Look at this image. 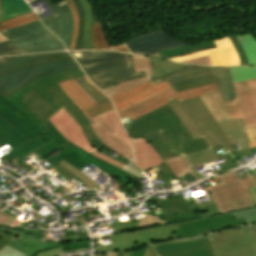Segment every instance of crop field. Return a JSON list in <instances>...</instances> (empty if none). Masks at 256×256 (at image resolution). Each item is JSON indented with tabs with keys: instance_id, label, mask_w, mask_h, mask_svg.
Returning <instances> with one entry per match:
<instances>
[{
	"instance_id": "crop-field-37",
	"label": "crop field",
	"mask_w": 256,
	"mask_h": 256,
	"mask_svg": "<svg viewBox=\"0 0 256 256\" xmlns=\"http://www.w3.org/2000/svg\"><path fill=\"white\" fill-rule=\"evenodd\" d=\"M94 50L109 49V45L102 31L101 23L96 22L91 26Z\"/></svg>"
},
{
	"instance_id": "crop-field-19",
	"label": "crop field",
	"mask_w": 256,
	"mask_h": 256,
	"mask_svg": "<svg viewBox=\"0 0 256 256\" xmlns=\"http://www.w3.org/2000/svg\"><path fill=\"white\" fill-rule=\"evenodd\" d=\"M216 49H209L193 54H187L171 60L180 62L209 55L211 66L240 65L238 55L228 38L214 41Z\"/></svg>"
},
{
	"instance_id": "crop-field-48",
	"label": "crop field",
	"mask_w": 256,
	"mask_h": 256,
	"mask_svg": "<svg viewBox=\"0 0 256 256\" xmlns=\"http://www.w3.org/2000/svg\"><path fill=\"white\" fill-rule=\"evenodd\" d=\"M236 219L247 218L248 222L256 220V208L233 213Z\"/></svg>"
},
{
	"instance_id": "crop-field-59",
	"label": "crop field",
	"mask_w": 256,
	"mask_h": 256,
	"mask_svg": "<svg viewBox=\"0 0 256 256\" xmlns=\"http://www.w3.org/2000/svg\"><path fill=\"white\" fill-rule=\"evenodd\" d=\"M46 161H48L50 164H52L54 166L58 162L62 161V159L59 158L57 155H54L53 157L47 159Z\"/></svg>"
},
{
	"instance_id": "crop-field-25",
	"label": "crop field",
	"mask_w": 256,
	"mask_h": 256,
	"mask_svg": "<svg viewBox=\"0 0 256 256\" xmlns=\"http://www.w3.org/2000/svg\"><path fill=\"white\" fill-rule=\"evenodd\" d=\"M68 97L82 110L88 117L84 110L93 107L96 104L75 82L74 79L58 83ZM90 120L91 124L92 121Z\"/></svg>"
},
{
	"instance_id": "crop-field-38",
	"label": "crop field",
	"mask_w": 256,
	"mask_h": 256,
	"mask_svg": "<svg viewBox=\"0 0 256 256\" xmlns=\"http://www.w3.org/2000/svg\"><path fill=\"white\" fill-rule=\"evenodd\" d=\"M232 80L241 81L256 78V67H229Z\"/></svg>"
},
{
	"instance_id": "crop-field-4",
	"label": "crop field",
	"mask_w": 256,
	"mask_h": 256,
	"mask_svg": "<svg viewBox=\"0 0 256 256\" xmlns=\"http://www.w3.org/2000/svg\"><path fill=\"white\" fill-rule=\"evenodd\" d=\"M99 52V55H96ZM81 65L85 74L100 88L145 76L135 74L131 55L114 51L69 52Z\"/></svg>"
},
{
	"instance_id": "crop-field-8",
	"label": "crop field",
	"mask_w": 256,
	"mask_h": 256,
	"mask_svg": "<svg viewBox=\"0 0 256 256\" xmlns=\"http://www.w3.org/2000/svg\"><path fill=\"white\" fill-rule=\"evenodd\" d=\"M217 177L221 183L206 189L211 193L221 213L255 206L249 189L256 184L254 175L247 174L248 178L240 180L235 171H232Z\"/></svg>"
},
{
	"instance_id": "crop-field-54",
	"label": "crop field",
	"mask_w": 256,
	"mask_h": 256,
	"mask_svg": "<svg viewBox=\"0 0 256 256\" xmlns=\"http://www.w3.org/2000/svg\"><path fill=\"white\" fill-rule=\"evenodd\" d=\"M130 256H152V254L150 253L147 247H143V248L131 251Z\"/></svg>"
},
{
	"instance_id": "crop-field-11",
	"label": "crop field",
	"mask_w": 256,
	"mask_h": 256,
	"mask_svg": "<svg viewBox=\"0 0 256 256\" xmlns=\"http://www.w3.org/2000/svg\"><path fill=\"white\" fill-rule=\"evenodd\" d=\"M177 229H179L178 224H175L157 229L116 234L108 238L113 245L103 247L101 244H98L96 250L116 251L141 247L159 240L179 239L175 232Z\"/></svg>"
},
{
	"instance_id": "crop-field-16",
	"label": "crop field",
	"mask_w": 256,
	"mask_h": 256,
	"mask_svg": "<svg viewBox=\"0 0 256 256\" xmlns=\"http://www.w3.org/2000/svg\"><path fill=\"white\" fill-rule=\"evenodd\" d=\"M126 47L139 55L159 56L157 51L183 45L170 38L163 30L151 32L125 42Z\"/></svg>"
},
{
	"instance_id": "crop-field-52",
	"label": "crop field",
	"mask_w": 256,
	"mask_h": 256,
	"mask_svg": "<svg viewBox=\"0 0 256 256\" xmlns=\"http://www.w3.org/2000/svg\"><path fill=\"white\" fill-rule=\"evenodd\" d=\"M113 232H118V231H127V230H133V229H139L138 225L136 222L133 223H128V224H123L119 226H114L112 227Z\"/></svg>"
},
{
	"instance_id": "crop-field-40",
	"label": "crop field",
	"mask_w": 256,
	"mask_h": 256,
	"mask_svg": "<svg viewBox=\"0 0 256 256\" xmlns=\"http://www.w3.org/2000/svg\"><path fill=\"white\" fill-rule=\"evenodd\" d=\"M167 164L169 167L172 169L174 172L175 176L177 178L185 177L184 175L190 173L188 168L186 167L183 157H176V158H171L166 160ZM186 179V177H185Z\"/></svg>"
},
{
	"instance_id": "crop-field-46",
	"label": "crop field",
	"mask_w": 256,
	"mask_h": 256,
	"mask_svg": "<svg viewBox=\"0 0 256 256\" xmlns=\"http://www.w3.org/2000/svg\"><path fill=\"white\" fill-rule=\"evenodd\" d=\"M22 54L11 42L0 44V56Z\"/></svg>"
},
{
	"instance_id": "crop-field-5",
	"label": "crop field",
	"mask_w": 256,
	"mask_h": 256,
	"mask_svg": "<svg viewBox=\"0 0 256 256\" xmlns=\"http://www.w3.org/2000/svg\"><path fill=\"white\" fill-rule=\"evenodd\" d=\"M233 85L236 99L226 105L219 91L201 99L216 121L243 118L245 130L256 127V79Z\"/></svg>"
},
{
	"instance_id": "crop-field-62",
	"label": "crop field",
	"mask_w": 256,
	"mask_h": 256,
	"mask_svg": "<svg viewBox=\"0 0 256 256\" xmlns=\"http://www.w3.org/2000/svg\"><path fill=\"white\" fill-rule=\"evenodd\" d=\"M9 41L1 32H0V43Z\"/></svg>"
},
{
	"instance_id": "crop-field-44",
	"label": "crop field",
	"mask_w": 256,
	"mask_h": 256,
	"mask_svg": "<svg viewBox=\"0 0 256 256\" xmlns=\"http://www.w3.org/2000/svg\"><path fill=\"white\" fill-rule=\"evenodd\" d=\"M114 109L111 103H103L100 105H97L93 108H90L88 110H86L87 114L90 116V118L94 117V116H98L104 112H107L109 110Z\"/></svg>"
},
{
	"instance_id": "crop-field-67",
	"label": "crop field",
	"mask_w": 256,
	"mask_h": 256,
	"mask_svg": "<svg viewBox=\"0 0 256 256\" xmlns=\"http://www.w3.org/2000/svg\"><path fill=\"white\" fill-rule=\"evenodd\" d=\"M107 253H95V256H106Z\"/></svg>"
},
{
	"instance_id": "crop-field-70",
	"label": "crop field",
	"mask_w": 256,
	"mask_h": 256,
	"mask_svg": "<svg viewBox=\"0 0 256 256\" xmlns=\"http://www.w3.org/2000/svg\"><path fill=\"white\" fill-rule=\"evenodd\" d=\"M249 224H256V221L249 222L248 225H249Z\"/></svg>"
},
{
	"instance_id": "crop-field-28",
	"label": "crop field",
	"mask_w": 256,
	"mask_h": 256,
	"mask_svg": "<svg viewBox=\"0 0 256 256\" xmlns=\"http://www.w3.org/2000/svg\"><path fill=\"white\" fill-rule=\"evenodd\" d=\"M147 201H156L164 207L167 224L177 222L176 214H191L184 199L155 200L154 196H151Z\"/></svg>"
},
{
	"instance_id": "crop-field-7",
	"label": "crop field",
	"mask_w": 256,
	"mask_h": 256,
	"mask_svg": "<svg viewBox=\"0 0 256 256\" xmlns=\"http://www.w3.org/2000/svg\"><path fill=\"white\" fill-rule=\"evenodd\" d=\"M42 133L18 106L0 94V146L8 143L15 149Z\"/></svg>"
},
{
	"instance_id": "crop-field-1",
	"label": "crop field",
	"mask_w": 256,
	"mask_h": 256,
	"mask_svg": "<svg viewBox=\"0 0 256 256\" xmlns=\"http://www.w3.org/2000/svg\"><path fill=\"white\" fill-rule=\"evenodd\" d=\"M123 125L132 138L143 136L163 160L183 155L187 167L230 156L221 143L235 149L200 97L175 100ZM161 166L169 180L176 179L166 163Z\"/></svg>"
},
{
	"instance_id": "crop-field-3",
	"label": "crop field",
	"mask_w": 256,
	"mask_h": 256,
	"mask_svg": "<svg viewBox=\"0 0 256 256\" xmlns=\"http://www.w3.org/2000/svg\"><path fill=\"white\" fill-rule=\"evenodd\" d=\"M0 58V93L7 98L39 78L81 69L67 52Z\"/></svg>"
},
{
	"instance_id": "crop-field-33",
	"label": "crop field",
	"mask_w": 256,
	"mask_h": 256,
	"mask_svg": "<svg viewBox=\"0 0 256 256\" xmlns=\"http://www.w3.org/2000/svg\"><path fill=\"white\" fill-rule=\"evenodd\" d=\"M41 138V137H40ZM39 137L28 142L27 144L11 151L10 153L4 155L3 157H1L0 159L3 162H8L9 160H11L12 158H14L15 156L18 158H23L26 155L30 154L31 152H33L34 150H36L37 148H39L40 146L46 144L44 141H42Z\"/></svg>"
},
{
	"instance_id": "crop-field-6",
	"label": "crop field",
	"mask_w": 256,
	"mask_h": 256,
	"mask_svg": "<svg viewBox=\"0 0 256 256\" xmlns=\"http://www.w3.org/2000/svg\"><path fill=\"white\" fill-rule=\"evenodd\" d=\"M167 81L176 92L211 84L216 82L225 103L234 99L233 85L228 67H205L189 65L174 73L152 81L156 86Z\"/></svg>"
},
{
	"instance_id": "crop-field-42",
	"label": "crop field",
	"mask_w": 256,
	"mask_h": 256,
	"mask_svg": "<svg viewBox=\"0 0 256 256\" xmlns=\"http://www.w3.org/2000/svg\"><path fill=\"white\" fill-rule=\"evenodd\" d=\"M64 167H66L70 172H72L75 176L78 177L79 180H81L88 188H96L98 189V185L95 181L89 179L87 176L82 174L80 171L74 169L72 166H70L68 163L62 161L60 162ZM99 190V189H98ZM101 191V190H99Z\"/></svg>"
},
{
	"instance_id": "crop-field-14",
	"label": "crop field",
	"mask_w": 256,
	"mask_h": 256,
	"mask_svg": "<svg viewBox=\"0 0 256 256\" xmlns=\"http://www.w3.org/2000/svg\"><path fill=\"white\" fill-rule=\"evenodd\" d=\"M240 225H247L246 219L235 220L232 214H224L217 217L180 223V230L176 232L180 239H186Z\"/></svg>"
},
{
	"instance_id": "crop-field-41",
	"label": "crop field",
	"mask_w": 256,
	"mask_h": 256,
	"mask_svg": "<svg viewBox=\"0 0 256 256\" xmlns=\"http://www.w3.org/2000/svg\"><path fill=\"white\" fill-rule=\"evenodd\" d=\"M79 86L98 104L109 102L105 97L98 93L83 77L75 79Z\"/></svg>"
},
{
	"instance_id": "crop-field-29",
	"label": "crop field",
	"mask_w": 256,
	"mask_h": 256,
	"mask_svg": "<svg viewBox=\"0 0 256 256\" xmlns=\"http://www.w3.org/2000/svg\"><path fill=\"white\" fill-rule=\"evenodd\" d=\"M98 117L101 118L107 124V126L114 132L112 134L113 136H115L117 139L124 142L126 145L133 149L131 139L129 138L125 130L122 128L115 110L104 113Z\"/></svg>"
},
{
	"instance_id": "crop-field-21",
	"label": "crop field",
	"mask_w": 256,
	"mask_h": 256,
	"mask_svg": "<svg viewBox=\"0 0 256 256\" xmlns=\"http://www.w3.org/2000/svg\"><path fill=\"white\" fill-rule=\"evenodd\" d=\"M168 87H170V85L166 81L156 87L151 82H149L117 96H114L111 98V100L113 101L117 112H119Z\"/></svg>"
},
{
	"instance_id": "crop-field-26",
	"label": "crop field",
	"mask_w": 256,
	"mask_h": 256,
	"mask_svg": "<svg viewBox=\"0 0 256 256\" xmlns=\"http://www.w3.org/2000/svg\"><path fill=\"white\" fill-rule=\"evenodd\" d=\"M218 124L223 129V131L225 132V134L230 139L233 145L238 144L241 150L248 148L246 143H248L249 140L243 130L242 119L221 121L218 122Z\"/></svg>"
},
{
	"instance_id": "crop-field-61",
	"label": "crop field",
	"mask_w": 256,
	"mask_h": 256,
	"mask_svg": "<svg viewBox=\"0 0 256 256\" xmlns=\"http://www.w3.org/2000/svg\"><path fill=\"white\" fill-rule=\"evenodd\" d=\"M253 174L256 177V170L253 171ZM250 189H251V192H252V195H253V198H254V201H255V205H256V185L254 187L250 188Z\"/></svg>"
},
{
	"instance_id": "crop-field-53",
	"label": "crop field",
	"mask_w": 256,
	"mask_h": 256,
	"mask_svg": "<svg viewBox=\"0 0 256 256\" xmlns=\"http://www.w3.org/2000/svg\"><path fill=\"white\" fill-rule=\"evenodd\" d=\"M15 218L7 215L6 213L0 211V226L9 228L11 223L14 221Z\"/></svg>"
},
{
	"instance_id": "crop-field-64",
	"label": "crop field",
	"mask_w": 256,
	"mask_h": 256,
	"mask_svg": "<svg viewBox=\"0 0 256 256\" xmlns=\"http://www.w3.org/2000/svg\"><path fill=\"white\" fill-rule=\"evenodd\" d=\"M115 51L130 53V52L126 49V47L121 48V49H117V50H115Z\"/></svg>"
},
{
	"instance_id": "crop-field-30",
	"label": "crop field",
	"mask_w": 256,
	"mask_h": 256,
	"mask_svg": "<svg viewBox=\"0 0 256 256\" xmlns=\"http://www.w3.org/2000/svg\"><path fill=\"white\" fill-rule=\"evenodd\" d=\"M33 12L25 0H2L1 2V21Z\"/></svg>"
},
{
	"instance_id": "crop-field-20",
	"label": "crop field",
	"mask_w": 256,
	"mask_h": 256,
	"mask_svg": "<svg viewBox=\"0 0 256 256\" xmlns=\"http://www.w3.org/2000/svg\"><path fill=\"white\" fill-rule=\"evenodd\" d=\"M49 120L70 142L76 144L90 154L96 151L86 141L78 122L67 112L64 107Z\"/></svg>"
},
{
	"instance_id": "crop-field-12",
	"label": "crop field",
	"mask_w": 256,
	"mask_h": 256,
	"mask_svg": "<svg viewBox=\"0 0 256 256\" xmlns=\"http://www.w3.org/2000/svg\"><path fill=\"white\" fill-rule=\"evenodd\" d=\"M214 91H218L215 83L179 93H176L171 87L141 103H138L126 110L119 112L118 114L121 119L128 117L131 121L174 99H176L178 102H181Z\"/></svg>"
},
{
	"instance_id": "crop-field-10",
	"label": "crop field",
	"mask_w": 256,
	"mask_h": 256,
	"mask_svg": "<svg viewBox=\"0 0 256 256\" xmlns=\"http://www.w3.org/2000/svg\"><path fill=\"white\" fill-rule=\"evenodd\" d=\"M214 256H256V234L243 226L207 235Z\"/></svg>"
},
{
	"instance_id": "crop-field-66",
	"label": "crop field",
	"mask_w": 256,
	"mask_h": 256,
	"mask_svg": "<svg viewBox=\"0 0 256 256\" xmlns=\"http://www.w3.org/2000/svg\"><path fill=\"white\" fill-rule=\"evenodd\" d=\"M248 146H249V148L256 147V142L249 143Z\"/></svg>"
},
{
	"instance_id": "crop-field-47",
	"label": "crop field",
	"mask_w": 256,
	"mask_h": 256,
	"mask_svg": "<svg viewBox=\"0 0 256 256\" xmlns=\"http://www.w3.org/2000/svg\"><path fill=\"white\" fill-rule=\"evenodd\" d=\"M230 41L232 42V44L234 45L235 49L238 52L239 58H240V64L241 65H248L247 62V57L243 51V49L241 48L238 40L236 39V37H229Z\"/></svg>"
},
{
	"instance_id": "crop-field-36",
	"label": "crop field",
	"mask_w": 256,
	"mask_h": 256,
	"mask_svg": "<svg viewBox=\"0 0 256 256\" xmlns=\"http://www.w3.org/2000/svg\"><path fill=\"white\" fill-rule=\"evenodd\" d=\"M59 157L68 162L70 165L78 170H82L87 164H90L84 158L76 154L74 151L64 149L60 153H57Z\"/></svg>"
},
{
	"instance_id": "crop-field-50",
	"label": "crop field",
	"mask_w": 256,
	"mask_h": 256,
	"mask_svg": "<svg viewBox=\"0 0 256 256\" xmlns=\"http://www.w3.org/2000/svg\"><path fill=\"white\" fill-rule=\"evenodd\" d=\"M0 256H27L9 246H5L0 250Z\"/></svg>"
},
{
	"instance_id": "crop-field-32",
	"label": "crop field",
	"mask_w": 256,
	"mask_h": 256,
	"mask_svg": "<svg viewBox=\"0 0 256 256\" xmlns=\"http://www.w3.org/2000/svg\"><path fill=\"white\" fill-rule=\"evenodd\" d=\"M81 3L85 12L84 38L82 50H93L90 31V25L95 23L93 18V12L90 9L91 5L88 3V0H81Z\"/></svg>"
},
{
	"instance_id": "crop-field-34",
	"label": "crop field",
	"mask_w": 256,
	"mask_h": 256,
	"mask_svg": "<svg viewBox=\"0 0 256 256\" xmlns=\"http://www.w3.org/2000/svg\"><path fill=\"white\" fill-rule=\"evenodd\" d=\"M209 48H215L213 41L209 42V43H205V44L192 46V47L180 46V47L160 51L158 53L162 57L171 58V57H175V56H179V55H183V54H187V53H193V52H196V51L209 49Z\"/></svg>"
},
{
	"instance_id": "crop-field-60",
	"label": "crop field",
	"mask_w": 256,
	"mask_h": 256,
	"mask_svg": "<svg viewBox=\"0 0 256 256\" xmlns=\"http://www.w3.org/2000/svg\"><path fill=\"white\" fill-rule=\"evenodd\" d=\"M202 165H203V164L197 165V166H194V167H190V170L192 171V173L196 176V178H197L198 180H200V179H202V178H204V177L202 176L201 173H199V171H198L197 169L193 170V168L199 167V166H202Z\"/></svg>"
},
{
	"instance_id": "crop-field-39",
	"label": "crop field",
	"mask_w": 256,
	"mask_h": 256,
	"mask_svg": "<svg viewBox=\"0 0 256 256\" xmlns=\"http://www.w3.org/2000/svg\"><path fill=\"white\" fill-rule=\"evenodd\" d=\"M0 2H1V0H0ZM37 19H38V17L36 15V13H32V14L29 13V14L21 15V16L1 22L0 23V31H4V30L10 29V28L19 26L21 24H24L26 22L37 20Z\"/></svg>"
},
{
	"instance_id": "crop-field-15",
	"label": "crop field",
	"mask_w": 256,
	"mask_h": 256,
	"mask_svg": "<svg viewBox=\"0 0 256 256\" xmlns=\"http://www.w3.org/2000/svg\"><path fill=\"white\" fill-rule=\"evenodd\" d=\"M54 15L42 19V23L64 43L67 49L71 42L73 19L70 7L65 0L52 5L50 0H45Z\"/></svg>"
},
{
	"instance_id": "crop-field-58",
	"label": "crop field",
	"mask_w": 256,
	"mask_h": 256,
	"mask_svg": "<svg viewBox=\"0 0 256 256\" xmlns=\"http://www.w3.org/2000/svg\"><path fill=\"white\" fill-rule=\"evenodd\" d=\"M250 141H256V128L255 129H251V130H247L246 131Z\"/></svg>"
},
{
	"instance_id": "crop-field-27",
	"label": "crop field",
	"mask_w": 256,
	"mask_h": 256,
	"mask_svg": "<svg viewBox=\"0 0 256 256\" xmlns=\"http://www.w3.org/2000/svg\"><path fill=\"white\" fill-rule=\"evenodd\" d=\"M209 201L194 203L192 198L185 199L190 208L192 215H177L178 222L185 221L193 218L206 217L219 214L218 208L212 199L211 195L208 194Z\"/></svg>"
},
{
	"instance_id": "crop-field-71",
	"label": "crop field",
	"mask_w": 256,
	"mask_h": 256,
	"mask_svg": "<svg viewBox=\"0 0 256 256\" xmlns=\"http://www.w3.org/2000/svg\"><path fill=\"white\" fill-rule=\"evenodd\" d=\"M122 252H118L117 256H121Z\"/></svg>"
},
{
	"instance_id": "crop-field-31",
	"label": "crop field",
	"mask_w": 256,
	"mask_h": 256,
	"mask_svg": "<svg viewBox=\"0 0 256 256\" xmlns=\"http://www.w3.org/2000/svg\"><path fill=\"white\" fill-rule=\"evenodd\" d=\"M149 59L152 65L151 81L187 66L185 64L173 63L168 60L161 62V59L153 57H149Z\"/></svg>"
},
{
	"instance_id": "crop-field-23",
	"label": "crop field",
	"mask_w": 256,
	"mask_h": 256,
	"mask_svg": "<svg viewBox=\"0 0 256 256\" xmlns=\"http://www.w3.org/2000/svg\"><path fill=\"white\" fill-rule=\"evenodd\" d=\"M132 61L135 72L145 71L147 76L103 89V91L110 97L150 81L151 66L149 64L148 57L132 55Z\"/></svg>"
},
{
	"instance_id": "crop-field-2",
	"label": "crop field",
	"mask_w": 256,
	"mask_h": 256,
	"mask_svg": "<svg viewBox=\"0 0 256 256\" xmlns=\"http://www.w3.org/2000/svg\"><path fill=\"white\" fill-rule=\"evenodd\" d=\"M84 75L82 70H79L45 77L21 89L8 99L18 105L43 130L48 129L44 123L63 106L82 127L90 124L89 120L74 103H70L72 101L56 82Z\"/></svg>"
},
{
	"instance_id": "crop-field-49",
	"label": "crop field",
	"mask_w": 256,
	"mask_h": 256,
	"mask_svg": "<svg viewBox=\"0 0 256 256\" xmlns=\"http://www.w3.org/2000/svg\"><path fill=\"white\" fill-rule=\"evenodd\" d=\"M224 161L225 162L218 163V166L220 167L221 170L218 171L217 173H219L221 171H224V170H228V169L239 167L238 163L234 160V158L232 156L224 158ZM208 164H210V163H207V165Z\"/></svg>"
},
{
	"instance_id": "crop-field-63",
	"label": "crop field",
	"mask_w": 256,
	"mask_h": 256,
	"mask_svg": "<svg viewBox=\"0 0 256 256\" xmlns=\"http://www.w3.org/2000/svg\"><path fill=\"white\" fill-rule=\"evenodd\" d=\"M98 92H100L102 95H104L109 101H110V99L105 95V94H103L101 91H99L97 88H96V86L95 85H93L89 80H88V78L85 76L84 77ZM111 102V101H110Z\"/></svg>"
},
{
	"instance_id": "crop-field-43",
	"label": "crop field",
	"mask_w": 256,
	"mask_h": 256,
	"mask_svg": "<svg viewBox=\"0 0 256 256\" xmlns=\"http://www.w3.org/2000/svg\"><path fill=\"white\" fill-rule=\"evenodd\" d=\"M73 2L75 3L76 9H77L78 14H79V33H78L77 43L75 45V50H81L82 38H83L84 13H83V9H82L80 1L79 0H73Z\"/></svg>"
},
{
	"instance_id": "crop-field-13",
	"label": "crop field",
	"mask_w": 256,
	"mask_h": 256,
	"mask_svg": "<svg viewBox=\"0 0 256 256\" xmlns=\"http://www.w3.org/2000/svg\"><path fill=\"white\" fill-rule=\"evenodd\" d=\"M154 256H213L207 236L182 241H166L148 246Z\"/></svg>"
},
{
	"instance_id": "crop-field-72",
	"label": "crop field",
	"mask_w": 256,
	"mask_h": 256,
	"mask_svg": "<svg viewBox=\"0 0 256 256\" xmlns=\"http://www.w3.org/2000/svg\"><path fill=\"white\" fill-rule=\"evenodd\" d=\"M253 228H254V230H255V232H256V225H253Z\"/></svg>"
},
{
	"instance_id": "crop-field-9",
	"label": "crop field",
	"mask_w": 256,
	"mask_h": 256,
	"mask_svg": "<svg viewBox=\"0 0 256 256\" xmlns=\"http://www.w3.org/2000/svg\"><path fill=\"white\" fill-rule=\"evenodd\" d=\"M2 33L23 54L65 50L62 42L51 34L40 20L26 23Z\"/></svg>"
},
{
	"instance_id": "crop-field-24",
	"label": "crop field",
	"mask_w": 256,
	"mask_h": 256,
	"mask_svg": "<svg viewBox=\"0 0 256 256\" xmlns=\"http://www.w3.org/2000/svg\"><path fill=\"white\" fill-rule=\"evenodd\" d=\"M92 121L94 124L91 125V127L93 128L95 134L103 144H105L112 150L120 153L126 159L133 161L134 151L132 149H130L124 143L114 138L111 135L113 132L106 126V124L101 119H99L98 117H95L92 119ZM130 156H132L133 158L132 159L128 158Z\"/></svg>"
},
{
	"instance_id": "crop-field-35",
	"label": "crop field",
	"mask_w": 256,
	"mask_h": 256,
	"mask_svg": "<svg viewBox=\"0 0 256 256\" xmlns=\"http://www.w3.org/2000/svg\"><path fill=\"white\" fill-rule=\"evenodd\" d=\"M246 52L249 65L256 66V40L251 34L236 36Z\"/></svg>"
},
{
	"instance_id": "crop-field-51",
	"label": "crop field",
	"mask_w": 256,
	"mask_h": 256,
	"mask_svg": "<svg viewBox=\"0 0 256 256\" xmlns=\"http://www.w3.org/2000/svg\"><path fill=\"white\" fill-rule=\"evenodd\" d=\"M62 253H66L62 246L47 250L45 252L37 253L35 256H56Z\"/></svg>"
},
{
	"instance_id": "crop-field-55",
	"label": "crop field",
	"mask_w": 256,
	"mask_h": 256,
	"mask_svg": "<svg viewBox=\"0 0 256 256\" xmlns=\"http://www.w3.org/2000/svg\"><path fill=\"white\" fill-rule=\"evenodd\" d=\"M65 239H66V242L85 241V240H89V236L88 234H84V235L65 237Z\"/></svg>"
},
{
	"instance_id": "crop-field-57",
	"label": "crop field",
	"mask_w": 256,
	"mask_h": 256,
	"mask_svg": "<svg viewBox=\"0 0 256 256\" xmlns=\"http://www.w3.org/2000/svg\"><path fill=\"white\" fill-rule=\"evenodd\" d=\"M64 249H77V248H85L90 247L89 243H82V244H65Z\"/></svg>"
},
{
	"instance_id": "crop-field-69",
	"label": "crop field",
	"mask_w": 256,
	"mask_h": 256,
	"mask_svg": "<svg viewBox=\"0 0 256 256\" xmlns=\"http://www.w3.org/2000/svg\"><path fill=\"white\" fill-rule=\"evenodd\" d=\"M117 253H108L107 256H116Z\"/></svg>"
},
{
	"instance_id": "crop-field-17",
	"label": "crop field",
	"mask_w": 256,
	"mask_h": 256,
	"mask_svg": "<svg viewBox=\"0 0 256 256\" xmlns=\"http://www.w3.org/2000/svg\"><path fill=\"white\" fill-rule=\"evenodd\" d=\"M37 238L16 230L0 227V249L8 244L30 256H34L39 251H45L62 245L59 243H50Z\"/></svg>"
},
{
	"instance_id": "crop-field-18",
	"label": "crop field",
	"mask_w": 256,
	"mask_h": 256,
	"mask_svg": "<svg viewBox=\"0 0 256 256\" xmlns=\"http://www.w3.org/2000/svg\"><path fill=\"white\" fill-rule=\"evenodd\" d=\"M50 129L45 131L56 143H58L61 146H64L65 148H69L71 150H75L76 153L84 157L86 160L94 164L95 166L99 167L109 175L117 178L119 181L124 183L125 185L130 183L131 181L137 179L135 176L128 174L124 172L121 169H118L92 155H89V153L85 152L84 150L80 149L76 145L70 143L68 140H66L57 130L56 128L50 123L48 120L45 123ZM116 179V180H117Z\"/></svg>"
},
{
	"instance_id": "crop-field-56",
	"label": "crop field",
	"mask_w": 256,
	"mask_h": 256,
	"mask_svg": "<svg viewBox=\"0 0 256 256\" xmlns=\"http://www.w3.org/2000/svg\"><path fill=\"white\" fill-rule=\"evenodd\" d=\"M184 63H196V64H204V65H209L210 66V62H209L208 56L207 57H203V58L189 60V61H184Z\"/></svg>"
},
{
	"instance_id": "crop-field-68",
	"label": "crop field",
	"mask_w": 256,
	"mask_h": 256,
	"mask_svg": "<svg viewBox=\"0 0 256 256\" xmlns=\"http://www.w3.org/2000/svg\"><path fill=\"white\" fill-rule=\"evenodd\" d=\"M129 252H130V251L123 252V255H122V256H129Z\"/></svg>"
},
{
	"instance_id": "crop-field-22",
	"label": "crop field",
	"mask_w": 256,
	"mask_h": 256,
	"mask_svg": "<svg viewBox=\"0 0 256 256\" xmlns=\"http://www.w3.org/2000/svg\"><path fill=\"white\" fill-rule=\"evenodd\" d=\"M133 141L136 152L133 167L142 171L163 164L161 157L143 137L135 138Z\"/></svg>"
},
{
	"instance_id": "crop-field-65",
	"label": "crop field",
	"mask_w": 256,
	"mask_h": 256,
	"mask_svg": "<svg viewBox=\"0 0 256 256\" xmlns=\"http://www.w3.org/2000/svg\"><path fill=\"white\" fill-rule=\"evenodd\" d=\"M121 47H124V44L116 46V47L110 46L111 50H114V49H117V48H121Z\"/></svg>"
},
{
	"instance_id": "crop-field-73",
	"label": "crop field",
	"mask_w": 256,
	"mask_h": 256,
	"mask_svg": "<svg viewBox=\"0 0 256 256\" xmlns=\"http://www.w3.org/2000/svg\"><path fill=\"white\" fill-rule=\"evenodd\" d=\"M1 62V61H0Z\"/></svg>"
},
{
	"instance_id": "crop-field-45",
	"label": "crop field",
	"mask_w": 256,
	"mask_h": 256,
	"mask_svg": "<svg viewBox=\"0 0 256 256\" xmlns=\"http://www.w3.org/2000/svg\"><path fill=\"white\" fill-rule=\"evenodd\" d=\"M66 1L72 9L73 18H74V32H73V38H72L71 46H70V49H69V50H74V45L76 43L77 32H78V14L75 10V7H74V4H73L72 0H66Z\"/></svg>"
}]
</instances>
